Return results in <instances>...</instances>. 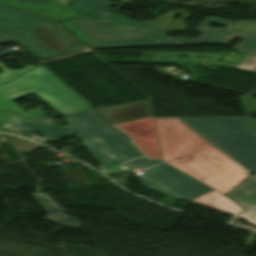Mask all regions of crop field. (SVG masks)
<instances>
[{
  "label": "crop field",
  "mask_w": 256,
  "mask_h": 256,
  "mask_svg": "<svg viewBox=\"0 0 256 256\" xmlns=\"http://www.w3.org/2000/svg\"><path fill=\"white\" fill-rule=\"evenodd\" d=\"M176 14H182L181 20H173ZM191 12L176 10L163 17L150 21L136 23L132 20L105 12L90 16L61 21L67 29L80 38L87 46L93 47H126L167 44H200L228 43L234 37L243 39L236 48L256 52V33L236 31L231 28V21L209 16L201 22L195 31L201 33L196 39H170L162 33L185 31L184 20ZM211 22L227 25L226 28L207 27ZM159 37L158 39H153Z\"/></svg>",
  "instance_id": "8a807250"
},
{
  "label": "crop field",
  "mask_w": 256,
  "mask_h": 256,
  "mask_svg": "<svg viewBox=\"0 0 256 256\" xmlns=\"http://www.w3.org/2000/svg\"><path fill=\"white\" fill-rule=\"evenodd\" d=\"M162 161L227 194L250 172L176 118H155Z\"/></svg>",
  "instance_id": "ac0d7876"
},
{
  "label": "crop field",
  "mask_w": 256,
  "mask_h": 256,
  "mask_svg": "<svg viewBox=\"0 0 256 256\" xmlns=\"http://www.w3.org/2000/svg\"><path fill=\"white\" fill-rule=\"evenodd\" d=\"M62 117L69 122L70 127L85 142L100 162L99 167L105 174L129 171L126 163L141 156L126 136L92 110L62 115ZM81 124L85 126L81 127ZM105 159L108 161L101 163V160Z\"/></svg>",
  "instance_id": "34b2d1b8"
},
{
  "label": "crop field",
  "mask_w": 256,
  "mask_h": 256,
  "mask_svg": "<svg viewBox=\"0 0 256 256\" xmlns=\"http://www.w3.org/2000/svg\"><path fill=\"white\" fill-rule=\"evenodd\" d=\"M127 165L131 170L141 168L145 172L138 175V178L149 189L233 215L243 211L223 194L204 186L163 162L137 159ZM205 194L210 197H204Z\"/></svg>",
  "instance_id": "412701ff"
},
{
  "label": "crop field",
  "mask_w": 256,
  "mask_h": 256,
  "mask_svg": "<svg viewBox=\"0 0 256 256\" xmlns=\"http://www.w3.org/2000/svg\"><path fill=\"white\" fill-rule=\"evenodd\" d=\"M180 119L249 171L256 173V135L246 117Z\"/></svg>",
  "instance_id": "f4fd0767"
},
{
  "label": "crop field",
  "mask_w": 256,
  "mask_h": 256,
  "mask_svg": "<svg viewBox=\"0 0 256 256\" xmlns=\"http://www.w3.org/2000/svg\"><path fill=\"white\" fill-rule=\"evenodd\" d=\"M34 94L60 114L92 108L43 65L14 81L0 85V103Z\"/></svg>",
  "instance_id": "dd49c442"
},
{
  "label": "crop field",
  "mask_w": 256,
  "mask_h": 256,
  "mask_svg": "<svg viewBox=\"0 0 256 256\" xmlns=\"http://www.w3.org/2000/svg\"><path fill=\"white\" fill-rule=\"evenodd\" d=\"M5 35L43 62L87 49L58 23L8 32Z\"/></svg>",
  "instance_id": "e52e79f7"
},
{
  "label": "crop field",
  "mask_w": 256,
  "mask_h": 256,
  "mask_svg": "<svg viewBox=\"0 0 256 256\" xmlns=\"http://www.w3.org/2000/svg\"><path fill=\"white\" fill-rule=\"evenodd\" d=\"M78 2L73 6H66L68 0H30L28 2H20L19 0H0L6 5L45 16L57 21L90 15L110 10L113 5L105 0H71Z\"/></svg>",
  "instance_id": "d8731c3e"
},
{
  "label": "crop field",
  "mask_w": 256,
  "mask_h": 256,
  "mask_svg": "<svg viewBox=\"0 0 256 256\" xmlns=\"http://www.w3.org/2000/svg\"><path fill=\"white\" fill-rule=\"evenodd\" d=\"M131 138V142L149 159L161 161V149L154 117L113 125Z\"/></svg>",
  "instance_id": "5a996713"
},
{
  "label": "crop field",
  "mask_w": 256,
  "mask_h": 256,
  "mask_svg": "<svg viewBox=\"0 0 256 256\" xmlns=\"http://www.w3.org/2000/svg\"><path fill=\"white\" fill-rule=\"evenodd\" d=\"M94 111L112 124L154 115L152 100L98 108Z\"/></svg>",
  "instance_id": "3316defc"
},
{
  "label": "crop field",
  "mask_w": 256,
  "mask_h": 256,
  "mask_svg": "<svg viewBox=\"0 0 256 256\" xmlns=\"http://www.w3.org/2000/svg\"><path fill=\"white\" fill-rule=\"evenodd\" d=\"M53 22L0 4V33Z\"/></svg>",
  "instance_id": "28ad6ade"
},
{
  "label": "crop field",
  "mask_w": 256,
  "mask_h": 256,
  "mask_svg": "<svg viewBox=\"0 0 256 256\" xmlns=\"http://www.w3.org/2000/svg\"><path fill=\"white\" fill-rule=\"evenodd\" d=\"M6 126L18 130L34 131L37 133H41L43 136L47 137V142L49 143L53 142L54 140H58L74 134L73 131L51 123L43 118L26 122L8 124Z\"/></svg>",
  "instance_id": "d1516ede"
},
{
  "label": "crop field",
  "mask_w": 256,
  "mask_h": 256,
  "mask_svg": "<svg viewBox=\"0 0 256 256\" xmlns=\"http://www.w3.org/2000/svg\"><path fill=\"white\" fill-rule=\"evenodd\" d=\"M227 195L236 200L245 209L256 205V175L248 177Z\"/></svg>",
  "instance_id": "22f410ed"
},
{
  "label": "crop field",
  "mask_w": 256,
  "mask_h": 256,
  "mask_svg": "<svg viewBox=\"0 0 256 256\" xmlns=\"http://www.w3.org/2000/svg\"><path fill=\"white\" fill-rule=\"evenodd\" d=\"M27 118H33V116L21 110L13 101L0 104V120L3 123Z\"/></svg>",
  "instance_id": "cbeb9de0"
},
{
  "label": "crop field",
  "mask_w": 256,
  "mask_h": 256,
  "mask_svg": "<svg viewBox=\"0 0 256 256\" xmlns=\"http://www.w3.org/2000/svg\"><path fill=\"white\" fill-rule=\"evenodd\" d=\"M33 196L49 214L64 211L56 202H52L45 193L33 194Z\"/></svg>",
  "instance_id": "5142ce71"
},
{
  "label": "crop field",
  "mask_w": 256,
  "mask_h": 256,
  "mask_svg": "<svg viewBox=\"0 0 256 256\" xmlns=\"http://www.w3.org/2000/svg\"><path fill=\"white\" fill-rule=\"evenodd\" d=\"M44 219L60 225L75 227V228H79V223H80V222L78 223L77 220H74L64 214L47 216V217H44Z\"/></svg>",
  "instance_id": "d9b57169"
},
{
  "label": "crop field",
  "mask_w": 256,
  "mask_h": 256,
  "mask_svg": "<svg viewBox=\"0 0 256 256\" xmlns=\"http://www.w3.org/2000/svg\"><path fill=\"white\" fill-rule=\"evenodd\" d=\"M254 94H256V92L240 97L242 106H243L246 114H248L249 111L256 112V100L249 98L250 95H254ZM243 100H245V102H243ZM248 119H249L255 133H256V121L252 120L249 117H248Z\"/></svg>",
  "instance_id": "733c2abd"
},
{
  "label": "crop field",
  "mask_w": 256,
  "mask_h": 256,
  "mask_svg": "<svg viewBox=\"0 0 256 256\" xmlns=\"http://www.w3.org/2000/svg\"><path fill=\"white\" fill-rule=\"evenodd\" d=\"M32 67L33 66L28 65L20 70H10L7 67H5L2 63H0V70L3 72L0 74V84L3 82L9 81V80L17 77L21 73L27 71V70H25V68H28V70H29Z\"/></svg>",
  "instance_id": "4a817a6b"
},
{
  "label": "crop field",
  "mask_w": 256,
  "mask_h": 256,
  "mask_svg": "<svg viewBox=\"0 0 256 256\" xmlns=\"http://www.w3.org/2000/svg\"><path fill=\"white\" fill-rule=\"evenodd\" d=\"M237 68L256 72V55L250 57L249 59L238 65Z\"/></svg>",
  "instance_id": "bc2a9ffb"
},
{
  "label": "crop field",
  "mask_w": 256,
  "mask_h": 256,
  "mask_svg": "<svg viewBox=\"0 0 256 256\" xmlns=\"http://www.w3.org/2000/svg\"><path fill=\"white\" fill-rule=\"evenodd\" d=\"M239 216H241L243 218H246L248 220H251L253 222H256V208L251 209V210H249V211H247V212H245V213H243Z\"/></svg>",
  "instance_id": "214f88e0"
},
{
  "label": "crop field",
  "mask_w": 256,
  "mask_h": 256,
  "mask_svg": "<svg viewBox=\"0 0 256 256\" xmlns=\"http://www.w3.org/2000/svg\"><path fill=\"white\" fill-rule=\"evenodd\" d=\"M28 113H30L31 115L35 116L36 118H39V117H43L44 116V113L39 110V109H35L34 111H26ZM35 119V118H33ZM29 120V119H28ZM23 121V120H22ZM18 122V121H17ZM7 124V123H6Z\"/></svg>",
  "instance_id": "92a150f3"
},
{
  "label": "crop field",
  "mask_w": 256,
  "mask_h": 256,
  "mask_svg": "<svg viewBox=\"0 0 256 256\" xmlns=\"http://www.w3.org/2000/svg\"><path fill=\"white\" fill-rule=\"evenodd\" d=\"M9 41V39H7L5 36H3L2 34H0V43Z\"/></svg>",
  "instance_id": "dafd665d"
},
{
  "label": "crop field",
  "mask_w": 256,
  "mask_h": 256,
  "mask_svg": "<svg viewBox=\"0 0 256 256\" xmlns=\"http://www.w3.org/2000/svg\"><path fill=\"white\" fill-rule=\"evenodd\" d=\"M246 220V219H245ZM248 221V220H247ZM250 223H252V224H254V225H256V223H253V222H251V221H249Z\"/></svg>",
  "instance_id": "00972430"
}]
</instances>
